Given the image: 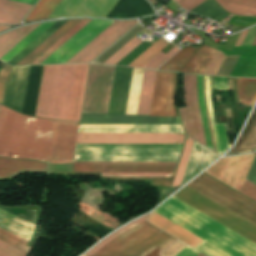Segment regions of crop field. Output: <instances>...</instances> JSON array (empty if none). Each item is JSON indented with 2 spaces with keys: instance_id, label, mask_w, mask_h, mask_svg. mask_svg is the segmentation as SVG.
<instances>
[{
  "instance_id": "obj_1",
  "label": "crop field",
  "mask_w": 256,
  "mask_h": 256,
  "mask_svg": "<svg viewBox=\"0 0 256 256\" xmlns=\"http://www.w3.org/2000/svg\"><path fill=\"white\" fill-rule=\"evenodd\" d=\"M55 121L20 115L3 106L0 107V157L49 160ZM55 124L49 163H67L73 160L78 123ZM56 138V145H55ZM55 152L53 158V151ZM67 161V162H52Z\"/></svg>"
},
{
  "instance_id": "obj_2",
  "label": "crop field",
  "mask_w": 256,
  "mask_h": 256,
  "mask_svg": "<svg viewBox=\"0 0 256 256\" xmlns=\"http://www.w3.org/2000/svg\"><path fill=\"white\" fill-rule=\"evenodd\" d=\"M204 241L194 249L207 256H256V245L175 197L154 210Z\"/></svg>"
},
{
  "instance_id": "obj_3",
  "label": "crop field",
  "mask_w": 256,
  "mask_h": 256,
  "mask_svg": "<svg viewBox=\"0 0 256 256\" xmlns=\"http://www.w3.org/2000/svg\"><path fill=\"white\" fill-rule=\"evenodd\" d=\"M88 64L44 66L35 116L78 121Z\"/></svg>"
},
{
  "instance_id": "obj_4",
  "label": "crop field",
  "mask_w": 256,
  "mask_h": 256,
  "mask_svg": "<svg viewBox=\"0 0 256 256\" xmlns=\"http://www.w3.org/2000/svg\"><path fill=\"white\" fill-rule=\"evenodd\" d=\"M144 217L113 233L89 252L88 256H144L160 251L176 241L145 222ZM145 256H158L159 250ZM159 254V253H158Z\"/></svg>"
},
{
  "instance_id": "obj_5",
  "label": "crop field",
  "mask_w": 256,
  "mask_h": 256,
  "mask_svg": "<svg viewBox=\"0 0 256 256\" xmlns=\"http://www.w3.org/2000/svg\"><path fill=\"white\" fill-rule=\"evenodd\" d=\"M182 145L76 144L74 161L177 162Z\"/></svg>"
},
{
  "instance_id": "obj_6",
  "label": "crop field",
  "mask_w": 256,
  "mask_h": 256,
  "mask_svg": "<svg viewBox=\"0 0 256 256\" xmlns=\"http://www.w3.org/2000/svg\"><path fill=\"white\" fill-rule=\"evenodd\" d=\"M256 225V204L205 174L186 185Z\"/></svg>"
},
{
  "instance_id": "obj_7",
  "label": "crop field",
  "mask_w": 256,
  "mask_h": 256,
  "mask_svg": "<svg viewBox=\"0 0 256 256\" xmlns=\"http://www.w3.org/2000/svg\"><path fill=\"white\" fill-rule=\"evenodd\" d=\"M114 69L90 65L82 113L107 114Z\"/></svg>"
},
{
  "instance_id": "obj_8",
  "label": "crop field",
  "mask_w": 256,
  "mask_h": 256,
  "mask_svg": "<svg viewBox=\"0 0 256 256\" xmlns=\"http://www.w3.org/2000/svg\"><path fill=\"white\" fill-rule=\"evenodd\" d=\"M184 134L77 133L76 143L182 144Z\"/></svg>"
},
{
  "instance_id": "obj_9",
  "label": "crop field",
  "mask_w": 256,
  "mask_h": 256,
  "mask_svg": "<svg viewBox=\"0 0 256 256\" xmlns=\"http://www.w3.org/2000/svg\"><path fill=\"white\" fill-rule=\"evenodd\" d=\"M0 216L4 217V218H7L15 223H18L26 228H29L31 230H34V225L28 223V222H25L19 218H16L8 213H5L3 211L0 210ZM0 217V228L6 230V231H9V232H12L14 234H17L27 240H30L31 236H32V231L18 225V224H15L7 219H4ZM4 230H1L0 229V240L24 251L27 253V251L29 250L30 247L27 246L28 242L27 240L17 236V235H14L12 233H9V232H6ZM2 241H0V250L10 256H25V253L3 243ZM0 252V256H8L4 253Z\"/></svg>"
},
{
  "instance_id": "obj_10",
  "label": "crop field",
  "mask_w": 256,
  "mask_h": 256,
  "mask_svg": "<svg viewBox=\"0 0 256 256\" xmlns=\"http://www.w3.org/2000/svg\"><path fill=\"white\" fill-rule=\"evenodd\" d=\"M185 108H179L184 131L188 137L205 145L197 103L196 75L184 74Z\"/></svg>"
},
{
  "instance_id": "obj_11",
  "label": "crop field",
  "mask_w": 256,
  "mask_h": 256,
  "mask_svg": "<svg viewBox=\"0 0 256 256\" xmlns=\"http://www.w3.org/2000/svg\"><path fill=\"white\" fill-rule=\"evenodd\" d=\"M255 154L221 158L204 172L240 191Z\"/></svg>"
},
{
  "instance_id": "obj_12",
  "label": "crop field",
  "mask_w": 256,
  "mask_h": 256,
  "mask_svg": "<svg viewBox=\"0 0 256 256\" xmlns=\"http://www.w3.org/2000/svg\"><path fill=\"white\" fill-rule=\"evenodd\" d=\"M112 22L92 20L40 64L65 63Z\"/></svg>"
},
{
  "instance_id": "obj_13",
  "label": "crop field",
  "mask_w": 256,
  "mask_h": 256,
  "mask_svg": "<svg viewBox=\"0 0 256 256\" xmlns=\"http://www.w3.org/2000/svg\"><path fill=\"white\" fill-rule=\"evenodd\" d=\"M177 73L157 71L151 116H178L173 102Z\"/></svg>"
},
{
  "instance_id": "obj_14",
  "label": "crop field",
  "mask_w": 256,
  "mask_h": 256,
  "mask_svg": "<svg viewBox=\"0 0 256 256\" xmlns=\"http://www.w3.org/2000/svg\"><path fill=\"white\" fill-rule=\"evenodd\" d=\"M196 50L198 49H194L190 46L181 49L159 69L178 71ZM214 52L215 49L203 44V46L183 66L180 72L204 74Z\"/></svg>"
},
{
  "instance_id": "obj_15",
  "label": "crop field",
  "mask_w": 256,
  "mask_h": 256,
  "mask_svg": "<svg viewBox=\"0 0 256 256\" xmlns=\"http://www.w3.org/2000/svg\"><path fill=\"white\" fill-rule=\"evenodd\" d=\"M29 66L13 67L7 81L3 104L19 112L22 110Z\"/></svg>"
},
{
  "instance_id": "obj_16",
  "label": "crop field",
  "mask_w": 256,
  "mask_h": 256,
  "mask_svg": "<svg viewBox=\"0 0 256 256\" xmlns=\"http://www.w3.org/2000/svg\"><path fill=\"white\" fill-rule=\"evenodd\" d=\"M131 70L116 67L108 114H124Z\"/></svg>"
},
{
  "instance_id": "obj_17",
  "label": "crop field",
  "mask_w": 256,
  "mask_h": 256,
  "mask_svg": "<svg viewBox=\"0 0 256 256\" xmlns=\"http://www.w3.org/2000/svg\"><path fill=\"white\" fill-rule=\"evenodd\" d=\"M77 132L183 133L180 126L79 125Z\"/></svg>"
},
{
  "instance_id": "obj_18",
  "label": "crop field",
  "mask_w": 256,
  "mask_h": 256,
  "mask_svg": "<svg viewBox=\"0 0 256 256\" xmlns=\"http://www.w3.org/2000/svg\"><path fill=\"white\" fill-rule=\"evenodd\" d=\"M219 156L193 142L181 184L186 183Z\"/></svg>"
},
{
  "instance_id": "obj_19",
  "label": "crop field",
  "mask_w": 256,
  "mask_h": 256,
  "mask_svg": "<svg viewBox=\"0 0 256 256\" xmlns=\"http://www.w3.org/2000/svg\"><path fill=\"white\" fill-rule=\"evenodd\" d=\"M74 172H174L176 166L73 165Z\"/></svg>"
},
{
  "instance_id": "obj_20",
  "label": "crop field",
  "mask_w": 256,
  "mask_h": 256,
  "mask_svg": "<svg viewBox=\"0 0 256 256\" xmlns=\"http://www.w3.org/2000/svg\"><path fill=\"white\" fill-rule=\"evenodd\" d=\"M47 164L30 160L0 158V179L18 175L24 171L46 172Z\"/></svg>"
},
{
  "instance_id": "obj_21",
  "label": "crop field",
  "mask_w": 256,
  "mask_h": 256,
  "mask_svg": "<svg viewBox=\"0 0 256 256\" xmlns=\"http://www.w3.org/2000/svg\"><path fill=\"white\" fill-rule=\"evenodd\" d=\"M148 221L193 248L203 241L154 212Z\"/></svg>"
},
{
  "instance_id": "obj_22",
  "label": "crop field",
  "mask_w": 256,
  "mask_h": 256,
  "mask_svg": "<svg viewBox=\"0 0 256 256\" xmlns=\"http://www.w3.org/2000/svg\"><path fill=\"white\" fill-rule=\"evenodd\" d=\"M31 7L10 0H0V24H19Z\"/></svg>"
},
{
  "instance_id": "obj_23",
  "label": "crop field",
  "mask_w": 256,
  "mask_h": 256,
  "mask_svg": "<svg viewBox=\"0 0 256 256\" xmlns=\"http://www.w3.org/2000/svg\"><path fill=\"white\" fill-rule=\"evenodd\" d=\"M256 150V107L238 142L227 155Z\"/></svg>"
},
{
  "instance_id": "obj_24",
  "label": "crop field",
  "mask_w": 256,
  "mask_h": 256,
  "mask_svg": "<svg viewBox=\"0 0 256 256\" xmlns=\"http://www.w3.org/2000/svg\"><path fill=\"white\" fill-rule=\"evenodd\" d=\"M144 70L135 69L132 70L127 106L125 114L136 115L139 95L141 90L142 78Z\"/></svg>"
},
{
  "instance_id": "obj_25",
  "label": "crop field",
  "mask_w": 256,
  "mask_h": 256,
  "mask_svg": "<svg viewBox=\"0 0 256 256\" xmlns=\"http://www.w3.org/2000/svg\"><path fill=\"white\" fill-rule=\"evenodd\" d=\"M221 7L234 14L256 16V0H216Z\"/></svg>"
},
{
  "instance_id": "obj_26",
  "label": "crop field",
  "mask_w": 256,
  "mask_h": 256,
  "mask_svg": "<svg viewBox=\"0 0 256 256\" xmlns=\"http://www.w3.org/2000/svg\"><path fill=\"white\" fill-rule=\"evenodd\" d=\"M156 71L145 70L137 115H148Z\"/></svg>"
},
{
  "instance_id": "obj_27",
  "label": "crop field",
  "mask_w": 256,
  "mask_h": 256,
  "mask_svg": "<svg viewBox=\"0 0 256 256\" xmlns=\"http://www.w3.org/2000/svg\"><path fill=\"white\" fill-rule=\"evenodd\" d=\"M40 24L25 26L0 36V57H2L6 52H8L13 46H15Z\"/></svg>"
},
{
  "instance_id": "obj_28",
  "label": "crop field",
  "mask_w": 256,
  "mask_h": 256,
  "mask_svg": "<svg viewBox=\"0 0 256 256\" xmlns=\"http://www.w3.org/2000/svg\"><path fill=\"white\" fill-rule=\"evenodd\" d=\"M125 22L126 21H114L111 25H109L104 31H102L97 37H95L90 43H88L83 49H81L66 63H77Z\"/></svg>"
},
{
  "instance_id": "obj_29",
  "label": "crop field",
  "mask_w": 256,
  "mask_h": 256,
  "mask_svg": "<svg viewBox=\"0 0 256 256\" xmlns=\"http://www.w3.org/2000/svg\"><path fill=\"white\" fill-rule=\"evenodd\" d=\"M80 19H72L65 23L61 28H59L55 33H53L49 38H47L43 43H41L37 48H35L31 53H29L25 58H23L16 65H27L36 56H38L43 50H45L50 44H52L56 39H58L63 33H65L70 27H72Z\"/></svg>"
},
{
  "instance_id": "obj_30",
  "label": "crop field",
  "mask_w": 256,
  "mask_h": 256,
  "mask_svg": "<svg viewBox=\"0 0 256 256\" xmlns=\"http://www.w3.org/2000/svg\"><path fill=\"white\" fill-rule=\"evenodd\" d=\"M136 22L137 20L127 21L122 27H120L116 32H114L110 37H108L104 42H102L98 47H96L92 52H90L78 63L91 62L112 43H114L119 37H121L126 31L134 26Z\"/></svg>"
},
{
  "instance_id": "obj_31",
  "label": "crop field",
  "mask_w": 256,
  "mask_h": 256,
  "mask_svg": "<svg viewBox=\"0 0 256 256\" xmlns=\"http://www.w3.org/2000/svg\"><path fill=\"white\" fill-rule=\"evenodd\" d=\"M90 19H81L72 28H70L65 34H63L58 40H56L52 45H50L45 51H43L38 57H36L28 65L39 64L47 56H49L53 51H55L59 46H61L65 41H67L71 36H73L77 31H79L83 26H85Z\"/></svg>"
},
{
  "instance_id": "obj_32",
  "label": "crop field",
  "mask_w": 256,
  "mask_h": 256,
  "mask_svg": "<svg viewBox=\"0 0 256 256\" xmlns=\"http://www.w3.org/2000/svg\"><path fill=\"white\" fill-rule=\"evenodd\" d=\"M191 12L210 18L216 22L219 21V23L229 15L214 0L204 1Z\"/></svg>"
},
{
  "instance_id": "obj_33",
  "label": "crop field",
  "mask_w": 256,
  "mask_h": 256,
  "mask_svg": "<svg viewBox=\"0 0 256 256\" xmlns=\"http://www.w3.org/2000/svg\"><path fill=\"white\" fill-rule=\"evenodd\" d=\"M237 84L240 103L251 107L256 99V79L237 78Z\"/></svg>"
},
{
  "instance_id": "obj_34",
  "label": "crop field",
  "mask_w": 256,
  "mask_h": 256,
  "mask_svg": "<svg viewBox=\"0 0 256 256\" xmlns=\"http://www.w3.org/2000/svg\"><path fill=\"white\" fill-rule=\"evenodd\" d=\"M61 0H40L23 22L47 19Z\"/></svg>"
},
{
  "instance_id": "obj_35",
  "label": "crop field",
  "mask_w": 256,
  "mask_h": 256,
  "mask_svg": "<svg viewBox=\"0 0 256 256\" xmlns=\"http://www.w3.org/2000/svg\"><path fill=\"white\" fill-rule=\"evenodd\" d=\"M67 21L68 20L56 21L46 31H44L40 36H38L32 43H30L25 49H23L18 55H16L11 61H9L8 64L15 65Z\"/></svg>"
},
{
  "instance_id": "obj_36",
  "label": "crop field",
  "mask_w": 256,
  "mask_h": 256,
  "mask_svg": "<svg viewBox=\"0 0 256 256\" xmlns=\"http://www.w3.org/2000/svg\"><path fill=\"white\" fill-rule=\"evenodd\" d=\"M54 22L55 21L42 23L34 31H32L27 37H25L21 42H19L15 47H13L8 53H6L2 58H0V61L7 63L9 60H11L16 54H18L23 48H25L31 41H33L38 35H40L45 29H47Z\"/></svg>"
},
{
  "instance_id": "obj_37",
  "label": "crop field",
  "mask_w": 256,
  "mask_h": 256,
  "mask_svg": "<svg viewBox=\"0 0 256 256\" xmlns=\"http://www.w3.org/2000/svg\"><path fill=\"white\" fill-rule=\"evenodd\" d=\"M197 87H198V103H199V108H200V114H201L204 134H205L206 145L208 148L212 149V143H211L209 127H208V122H207V116H206L204 100H203L202 76H200V75H197Z\"/></svg>"
},
{
  "instance_id": "obj_38",
  "label": "crop field",
  "mask_w": 256,
  "mask_h": 256,
  "mask_svg": "<svg viewBox=\"0 0 256 256\" xmlns=\"http://www.w3.org/2000/svg\"><path fill=\"white\" fill-rule=\"evenodd\" d=\"M167 45L168 44L160 38L128 66L141 67Z\"/></svg>"
},
{
  "instance_id": "obj_39",
  "label": "crop field",
  "mask_w": 256,
  "mask_h": 256,
  "mask_svg": "<svg viewBox=\"0 0 256 256\" xmlns=\"http://www.w3.org/2000/svg\"><path fill=\"white\" fill-rule=\"evenodd\" d=\"M139 34H141V32ZM139 34H137L133 39H131L103 63L116 65L120 60H122L126 55H128L132 50H134L139 44L143 42L136 38Z\"/></svg>"
},
{
  "instance_id": "obj_40",
  "label": "crop field",
  "mask_w": 256,
  "mask_h": 256,
  "mask_svg": "<svg viewBox=\"0 0 256 256\" xmlns=\"http://www.w3.org/2000/svg\"><path fill=\"white\" fill-rule=\"evenodd\" d=\"M192 142H193L192 140H190L188 138L186 139L184 150H183V153H182L172 186H179V184H180L181 177H182L185 165H186V161H187L190 149H191Z\"/></svg>"
},
{
  "instance_id": "obj_41",
  "label": "crop field",
  "mask_w": 256,
  "mask_h": 256,
  "mask_svg": "<svg viewBox=\"0 0 256 256\" xmlns=\"http://www.w3.org/2000/svg\"><path fill=\"white\" fill-rule=\"evenodd\" d=\"M177 51H178V48H176L174 46L166 54L160 52L154 58H152L148 63H146L143 67L144 68L156 69L158 66H160L164 61H166L169 57H171Z\"/></svg>"
},
{
  "instance_id": "obj_42",
  "label": "crop field",
  "mask_w": 256,
  "mask_h": 256,
  "mask_svg": "<svg viewBox=\"0 0 256 256\" xmlns=\"http://www.w3.org/2000/svg\"><path fill=\"white\" fill-rule=\"evenodd\" d=\"M225 54L220 52V51H216L211 63L209 64L205 74H210V75H216L220 65L222 64L224 58H225Z\"/></svg>"
},
{
  "instance_id": "obj_43",
  "label": "crop field",
  "mask_w": 256,
  "mask_h": 256,
  "mask_svg": "<svg viewBox=\"0 0 256 256\" xmlns=\"http://www.w3.org/2000/svg\"><path fill=\"white\" fill-rule=\"evenodd\" d=\"M206 86H207V99H208V105H209V111H210V116H211L213 134H214V139H215L216 151H217V154L220 155L221 152H220V147H219L216 127H215V122H214V117H213V111H212V106H211V99H210L209 77H207V76H206Z\"/></svg>"
},
{
  "instance_id": "obj_44",
  "label": "crop field",
  "mask_w": 256,
  "mask_h": 256,
  "mask_svg": "<svg viewBox=\"0 0 256 256\" xmlns=\"http://www.w3.org/2000/svg\"><path fill=\"white\" fill-rule=\"evenodd\" d=\"M221 152H225L230 146L227 140L224 124H216Z\"/></svg>"
},
{
  "instance_id": "obj_45",
  "label": "crop field",
  "mask_w": 256,
  "mask_h": 256,
  "mask_svg": "<svg viewBox=\"0 0 256 256\" xmlns=\"http://www.w3.org/2000/svg\"><path fill=\"white\" fill-rule=\"evenodd\" d=\"M173 173H102V176H172Z\"/></svg>"
},
{
  "instance_id": "obj_46",
  "label": "crop field",
  "mask_w": 256,
  "mask_h": 256,
  "mask_svg": "<svg viewBox=\"0 0 256 256\" xmlns=\"http://www.w3.org/2000/svg\"><path fill=\"white\" fill-rule=\"evenodd\" d=\"M240 193L256 201V185L250 181L245 180Z\"/></svg>"
},
{
  "instance_id": "obj_47",
  "label": "crop field",
  "mask_w": 256,
  "mask_h": 256,
  "mask_svg": "<svg viewBox=\"0 0 256 256\" xmlns=\"http://www.w3.org/2000/svg\"><path fill=\"white\" fill-rule=\"evenodd\" d=\"M74 164L176 165L177 163L74 162Z\"/></svg>"
},
{
  "instance_id": "obj_48",
  "label": "crop field",
  "mask_w": 256,
  "mask_h": 256,
  "mask_svg": "<svg viewBox=\"0 0 256 256\" xmlns=\"http://www.w3.org/2000/svg\"><path fill=\"white\" fill-rule=\"evenodd\" d=\"M187 245L181 243L180 241L175 242L169 248L161 253L162 256H175L179 251H181Z\"/></svg>"
},
{
  "instance_id": "obj_49",
  "label": "crop field",
  "mask_w": 256,
  "mask_h": 256,
  "mask_svg": "<svg viewBox=\"0 0 256 256\" xmlns=\"http://www.w3.org/2000/svg\"><path fill=\"white\" fill-rule=\"evenodd\" d=\"M204 0H180L177 2L179 5H181L184 9L190 11L197 5H199Z\"/></svg>"
},
{
  "instance_id": "obj_50",
  "label": "crop field",
  "mask_w": 256,
  "mask_h": 256,
  "mask_svg": "<svg viewBox=\"0 0 256 256\" xmlns=\"http://www.w3.org/2000/svg\"><path fill=\"white\" fill-rule=\"evenodd\" d=\"M215 90H228L227 77H215Z\"/></svg>"
},
{
  "instance_id": "obj_51",
  "label": "crop field",
  "mask_w": 256,
  "mask_h": 256,
  "mask_svg": "<svg viewBox=\"0 0 256 256\" xmlns=\"http://www.w3.org/2000/svg\"><path fill=\"white\" fill-rule=\"evenodd\" d=\"M11 66L2 64L0 68V81L6 82L11 71Z\"/></svg>"
},
{
  "instance_id": "obj_52",
  "label": "crop field",
  "mask_w": 256,
  "mask_h": 256,
  "mask_svg": "<svg viewBox=\"0 0 256 256\" xmlns=\"http://www.w3.org/2000/svg\"><path fill=\"white\" fill-rule=\"evenodd\" d=\"M203 86H204V100H205V106H206V111H207V116H208V122H209V127H210V133H211V138H212V143H213V149H214V152H216V151H215V145H214L213 134H212L210 116H209V111H208L207 99H206L205 76H203Z\"/></svg>"
},
{
  "instance_id": "obj_53",
  "label": "crop field",
  "mask_w": 256,
  "mask_h": 256,
  "mask_svg": "<svg viewBox=\"0 0 256 256\" xmlns=\"http://www.w3.org/2000/svg\"><path fill=\"white\" fill-rule=\"evenodd\" d=\"M199 254L200 253L196 252L195 250L187 246L176 256H198Z\"/></svg>"
},
{
  "instance_id": "obj_54",
  "label": "crop field",
  "mask_w": 256,
  "mask_h": 256,
  "mask_svg": "<svg viewBox=\"0 0 256 256\" xmlns=\"http://www.w3.org/2000/svg\"><path fill=\"white\" fill-rule=\"evenodd\" d=\"M179 187H175V188H167V189H163L160 190L164 195H166L167 197L169 195H171L175 190H177Z\"/></svg>"
},
{
  "instance_id": "obj_55",
  "label": "crop field",
  "mask_w": 256,
  "mask_h": 256,
  "mask_svg": "<svg viewBox=\"0 0 256 256\" xmlns=\"http://www.w3.org/2000/svg\"><path fill=\"white\" fill-rule=\"evenodd\" d=\"M5 85H6V83L0 82V103L3 102V96H4V91H5Z\"/></svg>"
},
{
  "instance_id": "obj_56",
  "label": "crop field",
  "mask_w": 256,
  "mask_h": 256,
  "mask_svg": "<svg viewBox=\"0 0 256 256\" xmlns=\"http://www.w3.org/2000/svg\"><path fill=\"white\" fill-rule=\"evenodd\" d=\"M247 31H248V30L243 31V32L241 33V35H240V37H239V39H238V41H237V43H236L235 46H240V45H241V43H242V41H243V39H244V37H245Z\"/></svg>"
},
{
  "instance_id": "obj_57",
  "label": "crop field",
  "mask_w": 256,
  "mask_h": 256,
  "mask_svg": "<svg viewBox=\"0 0 256 256\" xmlns=\"http://www.w3.org/2000/svg\"><path fill=\"white\" fill-rule=\"evenodd\" d=\"M16 1H20V2L35 5L38 0H16Z\"/></svg>"
},
{
  "instance_id": "obj_58",
  "label": "crop field",
  "mask_w": 256,
  "mask_h": 256,
  "mask_svg": "<svg viewBox=\"0 0 256 256\" xmlns=\"http://www.w3.org/2000/svg\"><path fill=\"white\" fill-rule=\"evenodd\" d=\"M210 85H211V94H214V83H213V77H210Z\"/></svg>"
},
{
  "instance_id": "obj_59",
  "label": "crop field",
  "mask_w": 256,
  "mask_h": 256,
  "mask_svg": "<svg viewBox=\"0 0 256 256\" xmlns=\"http://www.w3.org/2000/svg\"><path fill=\"white\" fill-rule=\"evenodd\" d=\"M11 26H0V31L10 28Z\"/></svg>"
},
{
  "instance_id": "obj_60",
  "label": "crop field",
  "mask_w": 256,
  "mask_h": 256,
  "mask_svg": "<svg viewBox=\"0 0 256 256\" xmlns=\"http://www.w3.org/2000/svg\"><path fill=\"white\" fill-rule=\"evenodd\" d=\"M252 46H256V39H255V41H254V43H253V45Z\"/></svg>"
},
{
  "instance_id": "obj_61",
  "label": "crop field",
  "mask_w": 256,
  "mask_h": 256,
  "mask_svg": "<svg viewBox=\"0 0 256 256\" xmlns=\"http://www.w3.org/2000/svg\"><path fill=\"white\" fill-rule=\"evenodd\" d=\"M174 1H176V2H177V1H179V0H174Z\"/></svg>"
},
{
  "instance_id": "obj_62",
  "label": "crop field",
  "mask_w": 256,
  "mask_h": 256,
  "mask_svg": "<svg viewBox=\"0 0 256 256\" xmlns=\"http://www.w3.org/2000/svg\"><path fill=\"white\" fill-rule=\"evenodd\" d=\"M199 256H203V255L200 254Z\"/></svg>"
}]
</instances>
